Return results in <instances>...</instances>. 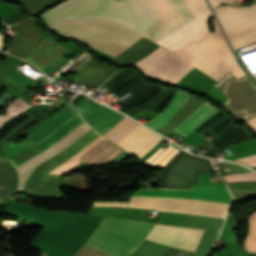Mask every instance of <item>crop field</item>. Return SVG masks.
Segmentation results:
<instances>
[{
    "label": "crop field",
    "instance_id": "obj_30",
    "mask_svg": "<svg viewBox=\"0 0 256 256\" xmlns=\"http://www.w3.org/2000/svg\"><path fill=\"white\" fill-rule=\"evenodd\" d=\"M19 26L24 31L32 50L36 49L41 40L44 39L36 25L31 21V19H28L19 23Z\"/></svg>",
    "mask_w": 256,
    "mask_h": 256
},
{
    "label": "crop field",
    "instance_id": "obj_37",
    "mask_svg": "<svg viewBox=\"0 0 256 256\" xmlns=\"http://www.w3.org/2000/svg\"><path fill=\"white\" fill-rule=\"evenodd\" d=\"M73 256H111L100 252L96 249L90 248L86 245H82Z\"/></svg>",
    "mask_w": 256,
    "mask_h": 256
},
{
    "label": "crop field",
    "instance_id": "obj_41",
    "mask_svg": "<svg viewBox=\"0 0 256 256\" xmlns=\"http://www.w3.org/2000/svg\"><path fill=\"white\" fill-rule=\"evenodd\" d=\"M233 1L234 0H209L210 5L212 7L222 4V3H230L231 4Z\"/></svg>",
    "mask_w": 256,
    "mask_h": 256
},
{
    "label": "crop field",
    "instance_id": "obj_47",
    "mask_svg": "<svg viewBox=\"0 0 256 256\" xmlns=\"http://www.w3.org/2000/svg\"><path fill=\"white\" fill-rule=\"evenodd\" d=\"M4 40H5L4 36L0 34V49L3 45Z\"/></svg>",
    "mask_w": 256,
    "mask_h": 256
},
{
    "label": "crop field",
    "instance_id": "obj_39",
    "mask_svg": "<svg viewBox=\"0 0 256 256\" xmlns=\"http://www.w3.org/2000/svg\"><path fill=\"white\" fill-rule=\"evenodd\" d=\"M238 161L243 162L249 166H254V165H256V155H253V156H250V157L238 160Z\"/></svg>",
    "mask_w": 256,
    "mask_h": 256
},
{
    "label": "crop field",
    "instance_id": "obj_5",
    "mask_svg": "<svg viewBox=\"0 0 256 256\" xmlns=\"http://www.w3.org/2000/svg\"><path fill=\"white\" fill-rule=\"evenodd\" d=\"M213 24L214 32L202 39L195 48L179 57L217 81L230 70L236 79L245 76L236 64L215 19Z\"/></svg>",
    "mask_w": 256,
    "mask_h": 256
},
{
    "label": "crop field",
    "instance_id": "obj_23",
    "mask_svg": "<svg viewBox=\"0 0 256 256\" xmlns=\"http://www.w3.org/2000/svg\"><path fill=\"white\" fill-rule=\"evenodd\" d=\"M216 110L207 102L203 104L199 109H197L193 114H191L186 120H184L175 131L187 135L194 128L200 125L203 121L209 118L212 114H214Z\"/></svg>",
    "mask_w": 256,
    "mask_h": 256
},
{
    "label": "crop field",
    "instance_id": "obj_7",
    "mask_svg": "<svg viewBox=\"0 0 256 256\" xmlns=\"http://www.w3.org/2000/svg\"><path fill=\"white\" fill-rule=\"evenodd\" d=\"M98 136L100 135L91 129L83 137L52 157L50 160L36 167V169L30 174L23 188V192L62 198L54 183V181L60 178V176L50 175L47 173L79 152Z\"/></svg>",
    "mask_w": 256,
    "mask_h": 256
},
{
    "label": "crop field",
    "instance_id": "obj_22",
    "mask_svg": "<svg viewBox=\"0 0 256 256\" xmlns=\"http://www.w3.org/2000/svg\"><path fill=\"white\" fill-rule=\"evenodd\" d=\"M189 97L190 94L187 92L178 90L169 107L145 125L157 131L180 110Z\"/></svg>",
    "mask_w": 256,
    "mask_h": 256
},
{
    "label": "crop field",
    "instance_id": "obj_44",
    "mask_svg": "<svg viewBox=\"0 0 256 256\" xmlns=\"http://www.w3.org/2000/svg\"><path fill=\"white\" fill-rule=\"evenodd\" d=\"M82 95V94H81ZM80 94H78L75 98L72 99L71 103L73 101H75L78 97L81 96ZM85 97V95H82L80 98H78L75 102L72 103V105L74 106L75 104H77L81 99H83Z\"/></svg>",
    "mask_w": 256,
    "mask_h": 256
},
{
    "label": "crop field",
    "instance_id": "obj_11",
    "mask_svg": "<svg viewBox=\"0 0 256 256\" xmlns=\"http://www.w3.org/2000/svg\"><path fill=\"white\" fill-rule=\"evenodd\" d=\"M129 197H160L172 199H189L231 204L232 198L226 187L191 188V190L174 189H140Z\"/></svg>",
    "mask_w": 256,
    "mask_h": 256
},
{
    "label": "crop field",
    "instance_id": "obj_18",
    "mask_svg": "<svg viewBox=\"0 0 256 256\" xmlns=\"http://www.w3.org/2000/svg\"><path fill=\"white\" fill-rule=\"evenodd\" d=\"M67 49L68 48L48 38L43 41L36 51L26 57L25 60L33 63L42 70Z\"/></svg>",
    "mask_w": 256,
    "mask_h": 256
},
{
    "label": "crop field",
    "instance_id": "obj_34",
    "mask_svg": "<svg viewBox=\"0 0 256 256\" xmlns=\"http://www.w3.org/2000/svg\"><path fill=\"white\" fill-rule=\"evenodd\" d=\"M8 1L20 2L24 6V11L31 15H35L39 11L48 7L47 0H8Z\"/></svg>",
    "mask_w": 256,
    "mask_h": 256
},
{
    "label": "crop field",
    "instance_id": "obj_9",
    "mask_svg": "<svg viewBox=\"0 0 256 256\" xmlns=\"http://www.w3.org/2000/svg\"><path fill=\"white\" fill-rule=\"evenodd\" d=\"M232 122L227 114L219 110L193 131L202 136L211 131L212 135L215 136L210 140L211 147L214 146L218 150L253 138L248 131ZM214 147L201 155L210 158L218 151Z\"/></svg>",
    "mask_w": 256,
    "mask_h": 256
},
{
    "label": "crop field",
    "instance_id": "obj_31",
    "mask_svg": "<svg viewBox=\"0 0 256 256\" xmlns=\"http://www.w3.org/2000/svg\"><path fill=\"white\" fill-rule=\"evenodd\" d=\"M178 152L179 151H177L170 145L165 150L159 147L158 150L145 162L157 167H163Z\"/></svg>",
    "mask_w": 256,
    "mask_h": 256
},
{
    "label": "crop field",
    "instance_id": "obj_2",
    "mask_svg": "<svg viewBox=\"0 0 256 256\" xmlns=\"http://www.w3.org/2000/svg\"><path fill=\"white\" fill-rule=\"evenodd\" d=\"M154 224L105 218L86 244L115 256H129L144 241ZM203 230L155 224L147 239L195 250Z\"/></svg>",
    "mask_w": 256,
    "mask_h": 256
},
{
    "label": "crop field",
    "instance_id": "obj_43",
    "mask_svg": "<svg viewBox=\"0 0 256 256\" xmlns=\"http://www.w3.org/2000/svg\"><path fill=\"white\" fill-rule=\"evenodd\" d=\"M195 147H200L204 150L209 149V143L206 141V139L202 140L200 143H198Z\"/></svg>",
    "mask_w": 256,
    "mask_h": 256
},
{
    "label": "crop field",
    "instance_id": "obj_40",
    "mask_svg": "<svg viewBox=\"0 0 256 256\" xmlns=\"http://www.w3.org/2000/svg\"><path fill=\"white\" fill-rule=\"evenodd\" d=\"M244 123H246L251 130L256 132V117L249 119V120L245 121Z\"/></svg>",
    "mask_w": 256,
    "mask_h": 256
},
{
    "label": "crop field",
    "instance_id": "obj_29",
    "mask_svg": "<svg viewBox=\"0 0 256 256\" xmlns=\"http://www.w3.org/2000/svg\"><path fill=\"white\" fill-rule=\"evenodd\" d=\"M210 32H211L210 30H207V31L192 34V35L186 37L185 39H183L182 41L178 42L174 46L170 47L168 50L177 55L182 54V53L188 51L189 49L195 47L198 44V42L203 37L208 35Z\"/></svg>",
    "mask_w": 256,
    "mask_h": 256
},
{
    "label": "crop field",
    "instance_id": "obj_17",
    "mask_svg": "<svg viewBox=\"0 0 256 256\" xmlns=\"http://www.w3.org/2000/svg\"><path fill=\"white\" fill-rule=\"evenodd\" d=\"M77 112L67 103L56 114L35 128L26 137L29 146L43 140Z\"/></svg>",
    "mask_w": 256,
    "mask_h": 256
},
{
    "label": "crop field",
    "instance_id": "obj_10",
    "mask_svg": "<svg viewBox=\"0 0 256 256\" xmlns=\"http://www.w3.org/2000/svg\"><path fill=\"white\" fill-rule=\"evenodd\" d=\"M133 65L148 77L172 84L193 67L161 47Z\"/></svg>",
    "mask_w": 256,
    "mask_h": 256
},
{
    "label": "crop field",
    "instance_id": "obj_19",
    "mask_svg": "<svg viewBox=\"0 0 256 256\" xmlns=\"http://www.w3.org/2000/svg\"><path fill=\"white\" fill-rule=\"evenodd\" d=\"M4 143H0V147ZM16 191V171L0 149V203L11 201Z\"/></svg>",
    "mask_w": 256,
    "mask_h": 256
},
{
    "label": "crop field",
    "instance_id": "obj_38",
    "mask_svg": "<svg viewBox=\"0 0 256 256\" xmlns=\"http://www.w3.org/2000/svg\"><path fill=\"white\" fill-rule=\"evenodd\" d=\"M29 105L26 104L23 100L20 98H17L14 102H12L8 107H6L4 110L7 111V113H17L24 108L28 107Z\"/></svg>",
    "mask_w": 256,
    "mask_h": 256
},
{
    "label": "crop field",
    "instance_id": "obj_33",
    "mask_svg": "<svg viewBox=\"0 0 256 256\" xmlns=\"http://www.w3.org/2000/svg\"><path fill=\"white\" fill-rule=\"evenodd\" d=\"M243 248L250 253L256 252V212L248 216V233Z\"/></svg>",
    "mask_w": 256,
    "mask_h": 256
},
{
    "label": "crop field",
    "instance_id": "obj_25",
    "mask_svg": "<svg viewBox=\"0 0 256 256\" xmlns=\"http://www.w3.org/2000/svg\"><path fill=\"white\" fill-rule=\"evenodd\" d=\"M118 151H120L118 147L105 139L82 158L89 162H106Z\"/></svg>",
    "mask_w": 256,
    "mask_h": 256
},
{
    "label": "crop field",
    "instance_id": "obj_15",
    "mask_svg": "<svg viewBox=\"0 0 256 256\" xmlns=\"http://www.w3.org/2000/svg\"><path fill=\"white\" fill-rule=\"evenodd\" d=\"M161 138L162 137L138 125L116 144L139 159Z\"/></svg>",
    "mask_w": 256,
    "mask_h": 256
},
{
    "label": "crop field",
    "instance_id": "obj_26",
    "mask_svg": "<svg viewBox=\"0 0 256 256\" xmlns=\"http://www.w3.org/2000/svg\"><path fill=\"white\" fill-rule=\"evenodd\" d=\"M201 31L207 30L206 19L211 16V12L205 0H186Z\"/></svg>",
    "mask_w": 256,
    "mask_h": 256
},
{
    "label": "crop field",
    "instance_id": "obj_32",
    "mask_svg": "<svg viewBox=\"0 0 256 256\" xmlns=\"http://www.w3.org/2000/svg\"><path fill=\"white\" fill-rule=\"evenodd\" d=\"M103 139L104 138H102L101 136L98 137L96 140H94L92 143L86 146L81 152L74 155L69 161L65 162L64 164L58 166L53 171H51V173L62 175L63 173L71 169L73 166H75L77 163H79V158Z\"/></svg>",
    "mask_w": 256,
    "mask_h": 256
},
{
    "label": "crop field",
    "instance_id": "obj_35",
    "mask_svg": "<svg viewBox=\"0 0 256 256\" xmlns=\"http://www.w3.org/2000/svg\"><path fill=\"white\" fill-rule=\"evenodd\" d=\"M90 59H92L89 54L85 51L80 56H78L76 59H74L72 62H70L68 65H66L57 75L58 77H61L69 72H74L78 68H80L82 65H84L86 62H88Z\"/></svg>",
    "mask_w": 256,
    "mask_h": 256
},
{
    "label": "crop field",
    "instance_id": "obj_16",
    "mask_svg": "<svg viewBox=\"0 0 256 256\" xmlns=\"http://www.w3.org/2000/svg\"><path fill=\"white\" fill-rule=\"evenodd\" d=\"M82 122V119L79 117V115H77L69 122H67L65 125H63L61 128H59L57 131H55L47 139L30 147L34 156L43 151L44 149H46L51 144L57 142L59 139H61L63 136H65L67 133H69L72 129H74ZM30 148L9 160L14 168L33 157Z\"/></svg>",
    "mask_w": 256,
    "mask_h": 256
},
{
    "label": "crop field",
    "instance_id": "obj_27",
    "mask_svg": "<svg viewBox=\"0 0 256 256\" xmlns=\"http://www.w3.org/2000/svg\"><path fill=\"white\" fill-rule=\"evenodd\" d=\"M137 125L138 124L134 123L133 121L125 117L103 136H105L111 142L115 143L122 137H124L129 131H131Z\"/></svg>",
    "mask_w": 256,
    "mask_h": 256
},
{
    "label": "crop field",
    "instance_id": "obj_14",
    "mask_svg": "<svg viewBox=\"0 0 256 256\" xmlns=\"http://www.w3.org/2000/svg\"><path fill=\"white\" fill-rule=\"evenodd\" d=\"M94 102L86 97L74 107L83 119L102 135L124 116Z\"/></svg>",
    "mask_w": 256,
    "mask_h": 256
},
{
    "label": "crop field",
    "instance_id": "obj_24",
    "mask_svg": "<svg viewBox=\"0 0 256 256\" xmlns=\"http://www.w3.org/2000/svg\"><path fill=\"white\" fill-rule=\"evenodd\" d=\"M199 31L200 30L197 26L195 19H192L191 21L187 22L186 24L182 25L178 29L169 33L162 39L158 40L156 43L160 44L161 46L167 49L169 46L177 43L182 38Z\"/></svg>",
    "mask_w": 256,
    "mask_h": 256
},
{
    "label": "crop field",
    "instance_id": "obj_6",
    "mask_svg": "<svg viewBox=\"0 0 256 256\" xmlns=\"http://www.w3.org/2000/svg\"><path fill=\"white\" fill-rule=\"evenodd\" d=\"M207 94L220 100L242 121L256 115V87L247 76L236 80L230 71Z\"/></svg>",
    "mask_w": 256,
    "mask_h": 256
},
{
    "label": "crop field",
    "instance_id": "obj_3",
    "mask_svg": "<svg viewBox=\"0 0 256 256\" xmlns=\"http://www.w3.org/2000/svg\"><path fill=\"white\" fill-rule=\"evenodd\" d=\"M114 57L141 36L110 21L93 19L65 21L51 26Z\"/></svg>",
    "mask_w": 256,
    "mask_h": 256
},
{
    "label": "crop field",
    "instance_id": "obj_20",
    "mask_svg": "<svg viewBox=\"0 0 256 256\" xmlns=\"http://www.w3.org/2000/svg\"><path fill=\"white\" fill-rule=\"evenodd\" d=\"M114 73H116V71L91 60L80 68L73 78L98 87Z\"/></svg>",
    "mask_w": 256,
    "mask_h": 256
},
{
    "label": "crop field",
    "instance_id": "obj_4",
    "mask_svg": "<svg viewBox=\"0 0 256 256\" xmlns=\"http://www.w3.org/2000/svg\"><path fill=\"white\" fill-rule=\"evenodd\" d=\"M131 68L119 70L115 75H113L107 82L103 84L106 85L110 81L114 80L124 72L128 71ZM150 83L144 82L135 71L132 69L126 72L125 74L121 75L111 83L104 86L108 92L112 93L116 97H121L124 94L130 92L132 94L136 93L137 91L141 90L142 88L146 87ZM151 85L147 86L146 88L142 89L141 91L137 92L136 94L132 95L129 98H125L126 100L122 101L118 105L124 103L125 101L129 100L130 98L134 97L135 95L139 94L140 92L144 91L145 89L149 88ZM155 86V85H154ZM154 86L150 87L149 89L153 88ZM149 89L145 90L144 92L140 93L139 95L135 96L134 98L130 99L129 101L137 98L141 94L145 93ZM176 89L175 88H163L161 86H156L153 89L149 90L145 94L141 95L137 99L121 106L118 110L131 116L135 113H138L146 108L156 111L160 113L170 102L172 99Z\"/></svg>",
    "mask_w": 256,
    "mask_h": 256
},
{
    "label": "crop field",
    "instance_id": "obj_42",
    "mask_svg": "<svg viewBox=\"0 0 256 256\" xmlns=\"http://www.w3.org/2000/svg\"><path fill=\"white\" fill-rule=\"evenodd\" d=\"M231 193L236 195L256 196V192L231 191Z\"/></svg>",
    "mask_w": 256,
    "mask_h": 256
},
{
    "label": "crop field",
    "instance_id": "obj_21",
    "mask_svg": "<svg viewBox=\"0 0 256 256\" xmlns=\"http://www.w3.org/2000/svg\"><path fill=\"white\" fill-rule=\"evenodd\" d=\"M158 46L159 45L142 37L116 59L114 58L115 60H113V62L123 66L130 65L154 51Z\"/></svg>",
    "mask_w": 256,
    "mask_h": 256
},
{
    "label": "crop field",
    "instance_id": "obj_48",
    "mask_svg": "<svg viewBox=\"0 0 256 256\" xmlns=\"http://www.w3.org/2000/svg\"><path fill=\"white\" fill-rule=\"evenodd\" d=\"M57 1H59V0H49V5H51V4H53V3L57 2Z\"/></svg>",
    "mask_w": 256,
    "mask_h": 256
},
{
    "label": "crop field",
    "instance_id": "obj_8",
    "mask_svg": "<svg viewBox=\"0 0 256 256\" xmlns=\"http://www.w3.org/2000/svg\"><path fill=\"white\" fill-rule=\"evenodd\" d=\"M233 50L256 41V3L245 8L213 9Z\"/></svg>",
    "mask_w": 256,
    "mask_h": 256
},
{
    "label": "crop field",
    "instance_id": "obj_45",
    "mask_svg": "<svg viewBox=\"0 0 256 256\" xmlns=\"http://www.w3.org/2000/svg\"><path fill=\"white\" fill-rule=\"evenodd\" d=\"M11 116H13V115H10V114H1V115H0V124H1L3 121H5V120H7L8 118H10Z\"/></svg>",
    "mask_w": 256,
    "mask_h": 256
},
{
    "label": "crop field",
    "instance_id": "obj_1",
    "mask_svg": "<svg viewBox=\"0 0 256 256\" xmlns=\"http://www.w3.org/2000/svg\"><path fill=\"white\" fill-rule=\"evenodd\" d=\"M168 31L194 18L185 0H153ZM58 21L100 18L113 21L152 41L168 34L152 0H66L41 14Z\"/></svg>",
    "mask_w": 256,
    "mask_h": 256
},
{
    "label": "crop field",
    "instance_id": "obj_36",
    "mask_svg": "<svg viewBox=\"0 0 256 256\" xmlns=\"http://www.w3.org/2000/svg\"><path fill=\"white\" fill-rule=\"evenodd\" d=\"M225 183L235 182V181H256V174L249 172V173H242V174H233V175H225L222 176Z\"/></svg>",
    "mask_w": 256,
    "mask_h": 256
},
{
    "label": "crop field",
    "instance_id": "obj_13",
    "mask_svg": "<svg viewBox=\"0 0 256 256\" xmlns=\"http://www.w3.org/2000/svg\"><path fill=\"white\" fill-rule=\"evenodd\" d=\"M86 123L80 124L76 127L73 131L59 140L57 143L51 145L46 150L35 156L34 158L30 159L29 161L25 162L24 164L20 165L19 167L15 168L18 173L17 178V192H22V188L24 185L25 180L27 179L30 172L39 164L47 161L53 155L60 152L62 149L70 145L72 142L77 140L83 134H85L88 130H90Z\"/></svg>",
    "mask_w": 256,
    "mask_h": 256
},
{
    "label": "crop field",
    "instance_id": "obj_12",
    "mask_svg": "<svg viewBox=\"0 0 256 256\" xmlns=\"http://www.w3.org/2000/svg\"><path fill=\"white\" fill-rule=\"evenodd\" d=\"M37 106L42 110L45 108L42 104ZM38 107L32 106L24 111L28 112L43 122L52 114L56 113L52 109L46 108L44 111L51 114L49 115L40 110ZM24 111L20 112L0 126V142L14 141L21 136L27 135L35 127L43 123Z\"/></svg>",
    "mask_w": 256,
    "mask_h": 256
},
{
    "label": "crop field",
    "instance_id": "obj_46",
    "mask_svg": "<svg viewBox=\"0 0 256 256\" xmlns=\"http://www.w3.org/2000/svg\"><path fill=\"white\" fill-rule=\"evenodd\" d=\"M27 18H30V17H28V16H23V17H21V18L15 20V21L10 22V23H7V24L12 25V24H15V23H17V22H19V21L25 20V19H27Z\"/></svg>",
    "mask_w": 256,
    "mask_h": 256
},
{
    "label": "crop field",
    "instance_id": "obj_28",
    "mask_svg": "<svg viewBox=\"0 0 256 256\" xmlns=\"http://www.w3.org/2000/svg\"><path fill=\"white\" fill-rule=\"evenodd\" d=\"M14 30L18 33L19 36L15 37V43L11 47V49L8 51L9 54L24 58L29 53L32 52L29 43L23 34L22 30L18 26V24H15L12 26Z\"/></svg>",
    "mask_w": 256,
    "mask_h": 256
}]
</instances>
